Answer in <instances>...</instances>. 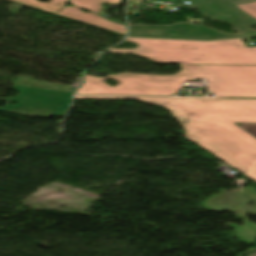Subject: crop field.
Returning a JSON list of instances; mask_svg holds the SVG:
<instances>
[{
	"label": "crop field",
	"mask_w": 256,
	"mask_h": 256,
	"mask_svg": "<svg viewBox=\"0 0 256 256\" xmlns=\"http://www.w3.org/2000/svg\"><path fill=\"white\" fill-rule=\"evenodd\" d=\"M134 99L167 109L184 135L243 174L256 166V138L234 123H256V99L188 97L78 96Z\"/></svg>",
	"instance_id": "obj_1"
},
{
	"label": "crop field",
	"mask_w": 256,
	"mask_h": 256,
	"mask_svg": "<svg viewBox=\"0 0 256 256\" xmlns=\"http://www.w3.org/2000/svg\"><path fill=\"white\" fill-rule=\"evenodd\" d=\"M175 75L158 76L125 72L107 78L119 84L112 87L107 78L85 75L76 94L100 95H174L186 81L206 78L208 87L217 97H256V66L180 65Z\"/></svg>",
	"instance_id": "obj_2"
},
{
	"label": "crop field",
	"mask_w": 256,
	"mask_h": 256,
	"mask_svg": "<svg viewBox=\"0 0 256 256\" xmlns=\"http://www.w3.org/2000/svg\"><path fill=\"white\" fill-rule=\"evenodd\" d=\"M240 127L256 137V124H242Z\"/></svg>",
	"instance_id": "obj_11"
},
{
	"label": "crop field",
	"mask_w": 256,
	"mask_h": 256,
	"mask_svg": "<svg viewBox=\"0 0 256 256\" xmlns=\"http://www.w3.org/2000/svg\"><path fill=\"white\" fill-rule=\"evenodd\" d=\"M137 48L111 49L108 52L149 58L163 64H240L256 65V47L245 48L242 39L194 42L127 38Z\"/></svg>",
	"instance_id": "obj_3"
},
{
	"label": "crop field",
	"mask_w": 256,
	"mask_h": 256,
	"mask_svg": "<svg viewBox=\"0 0 256 256\" xmlns=\"http://www.w3.org/2000/svg\"><path fill=\"white\" fill-rule=\"evenodd\" d=\"M17 3L24 4L26 6L36 8L52 14H57L62 6L69 0H50L51 2L42 3L38 0H9Z\"/></svg>",
	"instance_id": "obj_8"
},
{
	"label": "crop field",
	"mask_w": 256,
	"mask_h": 256,
	"mask_svg": "<svg viewBox=\"0 0 256 256\" xmlns=\"http://www.w3.org/2000/svg\"><path fill=\"white\" fill-rule=\"evenodd\" d=\"M192 4L194 3H198V2H202V1H206V0H189Z\"/></svg>",
	"instance_id": "obj_14"
},
{
	"label": "crop field",
	"mask_w": 256,
	"mask_h": 256,
	"mask_svg": "<svg viewBox=\"0 0 256 256\" xmlns=\"http://www.w3.org/2000/svg\"><path fill=\"white\" fill-rule=\"evenodd\" d=\"M236 7L256 19V2L236 5Z\"/></svg>",
	"instance_id": "obj_10"
},
{
	"label": "crop field",
	"mask_w": 256,
	"mask_h": 256,
	"mask_svg": "<svg viewBox=\"0 0 256 256\" xmlns=\"http://www.w3.org/2000/svg\"><path fill=\"white\" fill-rule=\"evenodd\" d=\"M12 89L21 93L7 101L0 112L35 116L49 117L52 115L64 116L70 102L72 93L47 91L23 86L13 85ZM10 101L17 102V105H9Z\"/></svg>",
	"instance_id": "obj_4"
},
{
	"label": "crop field",
	"mask_w": 256,
	"mask_h": 256,
	"mask_svg": "<svg viewBox=\"0 0 256 256\" xmlns=\"http://www.w3.org/2000/svg\"><path fill=\"white\" fill-rule=\"evenodd\" d=\"M121 0H70L68 3L97 14L102 10V3H120Z\"/></svg>",
	"instance_id": "obj_9"
},
{
	"label": "crop field",
	"mask_w": 256,
	"mask_h": 256,
	"mask_svg": "<svg viewBox=\"0 0 256 256\" xmlns=\"http://www.w3.org/2000/svg\"><path fill=\"white\" fill-rule=\"evenodd\" d=\"M248 178H250L251 180H253L254 182H256V168L249 173L248 175H246Z\"/></svg>",
	"instance_id": "obj_13"
},
{
	"label": "crop field",
	"mask_w": 256,
	"mask_h": 256,
	"mask_svg": "<svg viewBox=\"0 0 256 256\" xmlns=\"http://www.w3.org/2000/svg\"><path fill=\"white\" fill-rule=\"evenodd\" d=\"M252 256H256V251L254 252V254Z\"/></svg>",
	"instance_id": "obj_15"
},
{
	"label": "crop field",
	"mask_w": 256,
	"mask_h": 256,
	"mask_svg": "<svg viewBox=\"0 0 256 256\" xmlns=\"http://www.w3.org/2000/svg\"><path fill=\"white\" fill-rule=\"evenodd\" d=\"M57 15L67 17L79 22H83L95 27H99L111 32H115L118 34H126L127 33V26L121 24H115L105 18L100 16H96L95 14L89 12L84 13L81 11L80 8L76 7H69L64 5L63 8L59 11Z\"/></svg>",
	"instance_id": "obj_7"
},
{
	"label": "crop field",
	"mask_w": 256,
	"mask_h": 256,
	"mask_svg": "<svg viewBox=\"0 0 256 256\" xmlns=\"http://www.w3.org/2000/svg\"><path fill=\"white\" fill-rule=\"evenodd\" d=\"M129 36L214 40L232 37H243V34H229L216 31L202 25H191L190 22H186L171 26L130 25Z\"/></svg>",
	"instance_id": "obj_5"
},
{
	"label": "crop field",
	"mask_w": 256,
	"mask_h": 256,
	"mask_svg": "<svg viewBox=\"0 0 256 256\" xmlns=\"http://www.w3.org/2000/svg\"><path fill=\"white\" fill-rule=\"evenodd\" d=\"M227 1H229L233 5H236V4L252 2V1H256V0H227Z\"/></svg>",
	"instance_id": "obj_12"
},
{
	"label": "crop field",
	"mask_w": 256,
	"mask_h": 256,
	"mask_svg": "<svg viewBox=\"0 0 256 256\" xmlns=\"http://www.w3.org/2000/svg\"><path fill=\"white\" fill-rule=\"evenodd\" d=\"M193 7L200 13L217 20L221 15L229 16V19L223 18L222 22L233 25L238 33H249L247 28L249 25H256V20L243 13L226 0H211L193 5ZM231 20V21H228Z\"/></svg>",
	"instance_id": "obj_6"
}]
</instances>
